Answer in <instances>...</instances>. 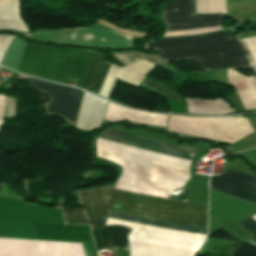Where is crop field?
<instances>
[{"label": "crop field", "mask_w": 256, "mask_h": 256, "mask_svg": "<svg viewBox=\"0 0 256 256\" xmlns=\"http://www.w3.org/2000/svg\"><path fill=\"white\" fill-rule=\"evenodd\" d=\"M100 139L191 161L195 150L154 139L110 130ZM111 200L207 218L206 206L113 189ZM111 201L109 209L207 228V219ZM109 210L108 216L192 233L206 234L205 228L168 222ZM130 256H189L130 249Z\"/></svg>", "instance_id": "1"}, {"label": "crop field", "mask_w": 256, "mask_h": 256, "mask_svg": "<svg viewBox=\"0 0 256 256\" xmlns=\"http://www.w3.org/2000/svg\"><path fill=\"white\" fill-rule=\"evenodd\" d=\"M107 102L85 93L81 102L76 127L83 131H92L100 127Z\"/></svg>", "instance_id": "11"}, {"label": "crop field", "mask_w": 256, "mask_h": 256, "mask_svg": "<svg viewBox=\"0 0 256 256\" xmlns=\"http://www.w3.org/2000/svg\"><path fill=\"white\" fill-rule=\"evenodd\" d=\"M0 29L28 31L18 16V0H0Z\"/></svg>", "instance_id": "16"}, {"label": "crop field", "mask_w": 256, "mask_h": 256, "mask_svg": "<svg viewBox=\"0 0 256 256\" xmlns=\"http://www.w3.org/2000/svg\"><path fill=\"white\" fill-rule=\"evenodd\" d=\"M167 130L231 143L253 132L247 119L235 117L185 118L171 116Z\"/></svg>", "instance_id": "5"}, {"label": "crop field", "mask_w": 256, "mask_h": 256, "mask_svg": "<svg viewBox=\"0 0 256 256\" xmlns=\"http://www.w3.org/2000/svg\"><path fill=\"white\" fill-rule=\"evenodd\" d=\"M240 226H242L243 228H245L247 231H249L250 233H252L253 235L256 236V221L254 219H252L251 217L237 223ZM256 243V237L251 239Z\"/></svg>", "instance_id": "20"}, {"label": "crop field", "mask_w": 256, "mask_h": 256, "mask_svg": "<svg viewBox=\"0 0 256 256\" xmlns=\"http://www.w3.org/2000/svg\"><path fill=\"white\" fill-rule=\"evenodd\" d=\"M104 118L111 121L128 120L132 122L146 123L164 127H166L167 124V116L139 112L112 104L110 102L106 109Z\"/></svg>", "instance_id": "12"}, {"label": "crop field", "mask_w": 256, "mask_h": 256, "mask_svg": "<svg viewBox=\"0 0 256 256\" xmlns=\"http://www.w3.org/2000/svg\"><path fill=\"white\" fill-rule=\"evenodd\" d=\"M223 14L216 15H193V0H178L165 5L161 11V18L167 26V32L196 29L220 25ZM221 26L171 32L166 33L165 37L186 36L202 34L217 30H222Z\"/></svg>", "instance_id": "6"}, {"label": "crop field", "mask_w": 256, "mask_h": 256, "mask_svg": "<svg viewBox=\"0 0 256 256\" xmlns=\"http://www.w3.org/2000/svg\"><path fill=\"white\" fill-rule=\"evenodd\" d=\"M111 188L112 186L78 192L81 206L92 225L97 251L109 248L128 250L126 236L129 229L120 226L103 227Z\"/></svg>", "instance_id": "4"}, {"label": "crop field", "mask_w": 256, "mask_h": 256, "mask_svg": "<svg viewBox=\"0 0 256 256\" xmlns=\"http://www.w3.org/2000/svg\"><path fill=\"white\" fill-rule=\"evenodd\" d=\"M237 1H251V0H227L228 4L233 3V2H237Z\"/></svg>", "instance_id": "23"}, {"label": "crop field", "mask_w": 256, "mask_h": 256, "mask_svg": "<svg viewBox=\"0 0 256 256\" xmlns=\"http://www.w3.org/2000/svg\"><path fill=\"white\" fill-rule=\"evenodd\" d=\"M210 189L256 202V178L232 170L210 176Z\"/></svg>", "instance_id": "9"}, {"label": "crop field", "mask_w": 256, "mask_h": 256, "mask_svg": "<svg viewBox=\"0 0 256 256\" xmlns=\"http://www.w3.org/2000/svg\"><path fill=\"white\" fill-rule=\"evenodd\" d=\"M244 41V43L246 44L250 54H251V57L253 59V62L255 64V72H256V36L254 37H248V38H244V39H241Z\"/></svg>", "instance_id": "19"}, {"label": "crop field", "mask_w": 256, "mask_h": 256, "mask_svg": "<svg viewBox=\"0 0 256 256\" xmlns=\"http://www.w3.org/2000/svg\"><path fill=\"white\" fill-rule=\"evenodd\" d=\"M143 85H145V86H147L149 88H152V89H154V90H156V91H158V92H160V93H162V94H164L166 96H169V97H171L173 99H176L178 101L180 99V97L176 96L175 94H173L168 89H166V88H164L162 86H159V85H157V84H155V83H153V82H151V81H149L147 79H145V81L143 82Z\"/></svg>", "instance_id": "18"}, {"label": "crop field", "mask_w": 256, "mask_h": 256, "mask_svg": "<svg viewBox=\"0 0 256 256\" xmlns=\"http://www.w3.org/2000/svg\"><path fill=\"white\" fill-rule=\"evenodd\" d=\"M65 224H89L82 209H61Z\"/></svg>", "instance_id": "17"}, {"label": "crop field", "mask_w": 256, "mask_h": 256, "mask_svg": "<svg viewBox=\"0 0 256 256\" xmlns=\"http://www.w3.org/2000/svg\"><path fill=\"white\" fill-rule=\"evenodd\" d=\"M229 80L237 90L245 109H256L254 78H244L229 69Z\"/></svg>", "instance_id": "15"}, {"label": "crop field", "mask_w": 256, "mask_h": 256, "mask_svg": "<svg viewBox=\"0 0 256 256\" xmlns=\"http://www.w3.org/2000/svg\"><path fill=\"white\" fill-rule=\"evenodd\" d=\"M109 65L103 58L92 54L82 85L87 89L99 91Z\"/></svg>", "instance_id": "14"}, {"label": "crop field", "mask_w": 256, "mask_h": 256, "mask_svg": "<svg viewBox=\"0 0 256 256\" xmlns=\"http://www.w3.org/2000/svg\"><path fill=\"white\" fill-rule=\"evenodd\" d=\"M185 97L187 112L193 114H225L233 112L225 99L206 100L193 97Z\"/></svg>", "instance_id": "13"}, {"label": "crop field", "mask_w": 256, "mask_h": 256, "mask_svg": "<svg viewBox=\"0 0 256 256\" xmlns=\"http://www.w3.org/2000/svg\"><path fill=\"white\" fill-rule=\"evenodd\" d=\"M4 96L0 95V128L2 123V116H3V107H4Z\"/></svg>", "instance_id": "22"}, {"label": "crop field", "mask_w": 256, "mask_h": 256, "mask_svg": "<svg viewBox=\"0 0 256 256\" xmlns=\"http://www.w3.org/2000/svg\"><path fill=\"white\" fill-rule=\"evenodd\" d=\"M92 51L38 46L26 43L18 71L66 84L78 80L80 87Z\"/></svg>", "instance_id": "3"}, {"label": "crop field", "mask_w": 256, "mask_h": 256, "mask_svg": "<svg viewBox=\"0 0 256 256\" xmlns=\"http://www.w3.org/2000/svg\"><path fill=\"white\" fill-rule=\"evenodd\" d=\"M30 85L32 88L45 91L50 95L52 101L47 106L48 112L61 115L72 123L75 122L82 91L34 79H30Z\"/></svg>", "instance_id": "8"}, {"label": "crop field", "mask_w": 256, "mask_h": 256, "mask_svg": "<svg viewBox=\"0 0 256 256\" xmlns=\"http://www.w3.org/2000/svg\"><path fill=\"white\" fill-rule=\"evenodd\" d=\"M153 65L154 64L144 60L126 67H118L111 64L99 95L107 98L112 90L116 78L138 86L140 81L147 75Z\"/></svg>", "instance_id": "10"}, {"label": "crop field", "mask_w": 256, "mask_h": 256, "mask_svg": "<svg viewBox=\"0 0 256 256\" xmlns=\"http://www.w3.org/2000/svg\"><path fill=\"white\" fill-rule=\"evenodd\" d=\"M13 36H2L0 35V61L5 54L8 46L10 45Z\"/></svg>", "instance_id": "21"}, {"label": "crop field", "mask_w": 256, "mask_h": 256, "mask_svg": "<svg viewBox=\"0 0 256 256\" xmlns=\"http://www.w3.org/2000/svg\"><path fill=\"white\" fill-rule=\"evenodd\" d=\"M144 48L159 52L157 55L168 61L184 58L195 60L204 71L252 64L244 44L236 37L227 36L226 31L195 37L150 40ZM114 55L125 65L141 59L154 64L166 62L155 54Z\"/></svg>", "instance_id": "2"}, {"label": "crop field", "mask_w": 256, "mask_h": 256, "mask_svg": "<svg viewBox=\"0 0 256 256\" xmlns=\"http://www.w3.org/2000/svg\"><path fill=\"white\" fill-rule=\"evenodd\" d=\"M27 35L41 40L110 47H130L132 37L119 34L99 23L88 29H45L36 30Z\"/></svg>", "instance_id": "7"}]
</instances>
